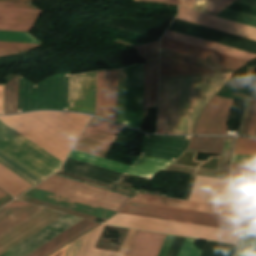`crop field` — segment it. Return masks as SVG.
Masks as SVG:
<instances>
[{"instance_id":"crop-field-1","label":"crop field","mask_w":256,"mask_h":256,"mask_svg":"<svg viewBox=\"0 0 256 256\" xmlns=\"http://www.w3.org/2000/svg\"><path fill=\"white\" fill-rule=\"evenodd\" d=\"M231 74L160 80L157 134H191L195 120Z\"/></svg>"},{"instance_id":"crop-field-2","label":"crop field","mask_w":256,"mask_h":256,"mask_svg":"<svg viewBox=\"0 0 256 256\" xmlns=\"http://www.w3.org/2000/svg\"><path fill=\"white\" fill-rule=\"evenodd\" d=\"M89 116L67 112H32L0 120L63 162Z\"/></svg>"},{"instance_id":"crop-field-3","label":"crop field","mask_w":256,"mask_h":256,"mask_svg":"<svg viewBox=\"0 0 256 256\" xmlns=\"http://www.w3.org/2000/svg\"><path fill=\"white\" fill-rule=\"evenodd\" d=\"M103 229L99 225L71 242L65 256H124L136 230H129L119 253H115L94 249ZM165 236L138 230L126 256H156Z\"/></svg>"},{"instance_id":"crop-field-4","label":"crop field","mask_w":256,"mask_h":256,"mask_svg":"<svg viewBox=\"0 0 256 256\" xmlns=\"http://www.w3.org/2000/svg\"><path fill=\"white\" fill-rule=\"evenodd\" d=\"M0 151L43 180L57 171L62 163L2 121Z\"/></svg>"},{"instance_id":"crop-field-5","label":"crop field","mask_w":256,"mask_h":256,"mask_svg":"<svg viewBox=\"0 0 256 256\" xmlns=\"http://www.w3.org/2000/svg\"><path fill=\"white\" fill-rule=\"evenodd\" d=\"M107 224L236 244L240 232L117 213Z\"/></svg>"},{"instance_id":"crop-field-6","label":"crop field","mask_w":256,"mask_h":256,"mask_svg":"<svg viewBox=\"0 0 256 256\" xmlns=\"http://www.w3.org/2000/svg\"><path fill=\"white\" fill-rule=\"evenodd\" d=\"M68 75L57 74L36 85L20 76L18 112L66 110Z\"/></svg>"},{"instance_id":"crop-field-7","label":"crop field","mask_w":256,"mask_h":256,"mask_svg":"<svg viewBox=\"0 0 256 256\" xmlns=\"http://www.w3.org/2000/svg\"><path fill=\"white\" fill-rule=\"evenodd\" d=\"M121 213L193 223L225 229L244 230L243 219L128 202Z\"/></svg>"},{"instance_id":"crop-field-8","label":"crop field","mask_w":256,"mask_h":256,"mask_svg":"<svg viewBox=\"0 0 256 256\" xmlns=\"http://www.w3.org/2000/svg\"><path fill=\"white\" fill-rule=\"evenodd\" d=\"M35 188L116 211L120 210L125 202L130 198L55 175Z\"/></svg>"},{"instance_id":"crop-field-9","label":"crop field","mask_w":256,"mask_h":256,"mask_svg":"<svg viewBox=\"0 0 256 256\" xmlns=\"http://www.w3.org/2000/svg\"><path fill=\"white\" fill-rule=\"evenodd\" d=\"M69 158L113 170L119 173L151 180L172 161L139 155L131 167L72 150Z\"/></svg>"},{"instance_id":"crop-field-10","label":"crop field","mask_w":256,"mask_h":256,"mask_svg":"<svg viewBox=\"0 0 256 256\" xmlns=\"http://www.w3.org/2000/svg\"><path fill=\"white\" fill-rule=\"evenodd\" d=\"M188 200L241 208L230 182L226 180L196 176Z\"/></svg>"},{"instance_id":"crop-field-11","label":"crop field","mask_w":256,"mask_h":256,"mask_svg":"<svg viewBox=\"0 0 256 256\" xmlns=\"http://www.w3.org/2000/svg\"><path fill=\"white\" fill-rule=\"evenodd\" d=\"M144 63L127 67L125 125L141 131Z\"/></svg>"},{"instance_id":"crop-field-12","label":"crop field","mask_w":256,"mask_h":256,"mask_svg":"<svg viewBox=\"0 0 256 256\" xmlns=\"http://www.w3.org/2000/svg\"><path fill=\"white\" fill-rule=\"evenodd\" d=\"M96 71L69 75L67 110L94 115Z\"/></svg>"},{"instance_id":"crop-field-13","label":"crop field","mask_w":256,"mask_h":256,"mask_svg":"<svg viewBox=\"0 0 256 256\" xmlns=\"http://www.w3.org/2000/svg\"><path fill=\"white\" fill-rule=\"evenodd\" d=\"M118 69L97 71L95 115L116 122Z\"/></svg>"},{"instance_id":"crop-field-14","label":"crop field","mask_w":256,"mask_h":256,"mask_svg":"<svg viewBox=\"0 0 256 256\" xmlns=\"http://www.w3.org/2000/svg\"><path fill=\"white\" fill-rule=\"evenodd\" d=\"M177 19L256 41V28L179 7Z\"/></svg>"},{"instance_id":"crop-field-15","label":"crop field","mask_w":256,"mask_h":256,"mask_svg":"<svg viewBox=\"0 0 256 256\" xmlns=\"http://www.w3.org/2000/svg\"><path fill=\"white\" fill-rule=\"evenodd\" d=\"M130 201L243 218L242 211L238 208L204 204L186 200L137 194Z\"/></svg>"},{"instance_id":"crop-field-16","label":"crop field","mask_w":256,"mask_h":256,"mask_svg":"<svg viewBox=\"0 0 256 256\" xmlns=\"http://www.w3.org/2000/svg\"><path fill=\"white\" fill-rule=\"evenodd\" d=\"M233 102L232 99L214 97L201 114L193 133L226 134L225 115Z\"/></svg>"},{"instance_id":"crop-field-17","label":"crop field","mask_w":256,"mask_h":256,"mask_svg":"<svg viewBox=\"0 0 256 256\" xmlns=\"http://www.w3.org/2000/svg\"><path fill=\"white\" fill-rule=\"evenodd\" d=\"M188 138L145 135L141 154L175 161L186 148Z\"/></svg>"},{"instance_id":"crop-field-18","label":"crop field","mask_w":256,"mask_h":256,"mask_svg":"<svg viewBox=\"0 0 256 256\" xmlns=\"http://www.w3.org/2000/svg\"><path fill=\"white\" fill-rule=\"evenodd\" d=\"M174 16L175 15L153 16L152 21L111 18L107 26L159 38Z\"/></svg>"},{"instance_id":"crop-field-19","label":"crop field","mask_w":256,"mask_h":256,"mask_svg":"<svg viewBox=\"0 0 256 256\" xmlns=\"http://www.w3.org/2000/svg\"><path fill=\"white\" fill-rule=\"evenodd\" d=\"M79 220L80 218L66 215L2 256H25Z\"/></svg>"},{"instance_id":"crop-field-20","label":"crop field","mask_w":256,"mask_h":256,"mask_svg":"<svg viewBox=\"0 0 256 256\" xmlns=\"http://www.w3.org/2000/svg\"><path fill=\"white\" fill-rule=\"evenodd\" d=\"M23 195H27V196H30V197H33V198L44 200V201H47V202H50V203L61 205V206L67 207V208L78 210V211L88 213V214H91V215H95V216L105 218V219L109 218L114 213H116V211H112V210H109V209H105V208H102V207H98V206H95V205H91V204H88V203H84V202H81V201H77V200H74V199H70V198H67V197H63V196H60V195H56V194L49 193V192H46V191H42V190L35 189V188L27 191Z\"/></svg>"},{"instance_id":"crop-field-21","label":"crop field","mask_w":256,"mask_h":256,"mask_svg":"<svg viewBox=\"0 0 256 256\" xmlns=\"http://www.w3.org/2000/svg\"><path fill=\"white\" fill-rule=\"evenodd\" d=\"M96 225L97 223L82 219L26 256H48Z\"/></svg>"},{"instance_id":"crop-field-22","label":"crop field","mask_w":256,"mask_h":256,"mask_svg":"<svg viewBox=\"0 0 256 256\" xmlns=\"http://www.w3.org/2000/svg\"><path fill=\"white\" fill-rule=\"evenodd\" d=\"M161 47L203 60L206 59L208 54H211V62H215L236 69H238L241 65H243L246 62L164 38L161 39Z\"/></svg>"},{"instance_id":"crop-field-23","label":"crop field","mask_w":256,"mask_h":256,"mask_svg":"<svg viewBox=\"0 0 256 256\" xmlns=\"http://www.w3.org/2000/svg\"><path fill=\"white\" fill-rule=\"evenodd\" d=\"M41 12L0 8V30L28 32Z\"/></svg>"},{"instance_id":"crop-field-24","label":"crop field","mask_w":256,"mask_h":256,"mask_svg":"<svg viewBox=\"0 0 256 256\" xmlns=\"http://www.w3.org/2000/svg\"><path fill=\"white\" fill-rule=\"evenodd\" d=\"M164 38H168V39L175 40L178 42L186 43L189 45H193L196 47H200L203 49H207L210 51H214L217 53L232 56V57L239 58V59L246 60V61L256 57V55L252 54V53L244 52L241 50H237L234 48L219 45L216 43L201 40L198 38H194L191 36H187V35L176 33V32L169 31V30H167L166 34L164 35Z\"/></svg>"},{"instance_id":"crop-field-25","label":"crop field","mask_w":256,"mask_h":256,"mask_svg":"<svg viewBox=\"0 0 256 256\" xmlns=\"http://www.w3.org/2000/svg\"><path fill=\"white\" fill-rule=\"evenodd\" d=\"M158 60L145 63L143 108H156Z\"/></svg>"},{"instance_id":"crop-field-26","label":"crop field","mask_w":256,"mask_h":256,"mask_svg":"<svg viewBox=\"0 0 256 256\" xmlns=\"http://www.w3.org/2000/svg\"><path fill=\"white\" fill-rule=\"evenodd\" d=\"M112 141L82 133L74 150L104 158Z\"/></svg>"},{"instance_id":"crop-field-27","label":"crop field","mask_w":256,"mask_h":256,"mask_svg":"<svg viewBox=\"0 0 256 256\" xmlns=\"http://www.w3.org/2000/svg\"><path fill=\"white\" fill-rule=\"evenodd\" d=\"M202 72L214 71L161 56L160 76Z\"/></svg>"},{"instance_id":"crop-field-28","label":"crop field","mask_w":256,"mask_h":256,"mask_svg":"<svg viewBox=\"0 0 256 256\" xmlns=\"http://www.w3.org/2000/svg\"><path fill=\"white\" fill-rule=\"evenodd\" d=\"M30 186V184L0 165V188L5 192L14 197Z\"/></svg>"},{"instance_id":"crop-field-29","label":"crop field","mask_w":256,"mask_h":256,"mask_svg":"<svg viewBox=\"0 0 256 256\" xmlns=\"http://www.w3.org/2000/svg\"><path fill=\"white\" fill-rule=\"evenodd\" d=\"M234 154H256V138H236ZM232 162L256 163V155H234Z\"/></svg>"},{"instance_id":"crop-field-30","label":"crop field","mask_w":256,"mask_h":256,"mask_svg":"<svg viewBox=\"0 0 256 256\" xmlns=\"http://www.w3.org/2000/svg\"><path fill=\"white\" fill-rule=\"evenodd\" d=\"M222 137H192L186 151L220 154Z\"/></svg>"},{"instance_id":"crop-field-31","label":"crop field","mask_w":256,"mask_h":256,"mask_svg":"<svg viewBox=\"0 0 256 256\" xmlns=\"http://www.w3.org/2000/svg\"><path fill=\"white\" fill-rule=\"evenodd\" d=\"M41 209L42 207H38L30 204L21 208L20 210H18L17 212H15L11 216L7 217L6 219L0 222V235L5 233L6 231H8L12 227L19 224L20 222H22L23 220L30 217L31 215H33L34 213H36Z\"/></svg>"},{"instance_id":"crop-field-32","label":"crop field","mask_w":256,"mask_h":256,"mask_svg":"<svg viewBox=\"0 0 256 256\" xmlns=\"http://www.w3.org/2000/svg\"><path fill=\"white\" fill-rule=\"evenodd\" d=\"M0 163L13 171L15 174L32 184L33 186L38 184L39 182L43 181L34 174H32L30 171L7 157L5 154L0 152Z\"/></svg>"},{"instance_id":"crop-field-33","label":"crop field","mask_w":256,"mask_h":256,"mask_svg":"<svg viewBox=\"0 0 256 256\" xmlns=\"http://www.w3.org/2000/svg\"><path fill=\"white\" fill-rule=\"evenodd\" d=\"M232 177L234 182L256 183V165L233 164Z\"/></svg>"},{"instance_id":"crop-field-34","label":"crop field","mask_w":256,"mask_h":256,"mask_svg":"<svg viewBox=\"0 0 256 256\" xmlns=\"http://www.w3.org/2000/svg\"><path fill=\"white\" fill-rule=\"evenodd\" d=\"M19 76L6 84L4 114L17 112Z\"/></svg>"},{"instance_id":"crop-field-35","label":"crop field","mask_w":256,"mask_h":256,"mask_svg":"<svg viewBox=\"0 0 256 256\" xmlns=\"http://www.w3.org/2000/svg\"><path fill=\"white\" fill-rule=\"evenodd\" d=\"M236 245L208 241L201 256H232Z\"/></svg>"},{"instance_id":"crop-field-36","label":"crop field","mask_w":256,"mask_h":256,"mask_svg":"<svg viewBox=\"0 0 256 256\" xmlns=\"http://www.w3.org/2000/svg\"><path fill=\"white\" fill-rule=\"evenodd\" d=\"M126 67L119 69L117 122L124 125Z\"/></svg>"},{"instance_id":"crop-field-37","label":"crop field","mask_w":256,"mask_h":256,"mask_svg":"<svg viewBox=\"0 0 256 256\" xmlns=\"http://www.w3.org/2000/svg\"><path fill=\"white\" fill-rule=\"evenodd\" d=\"M231 2H233V0H208L207 4V0H196L194 9L215 15V13L219 12L221 9L229 5ZM205 8L207 11L215 13L207 12L205 11Z\"/></svg>"},{"instance_id":"crop-field-38","label":"crop field","mask_w":256,"mask_h":256,"mask_svg":"<svg viewBox=\"0 0 256 256\" xmlns=\"http://www.w3.org/2000/svg\"><path fill=\"white\" fill-rule=\"evenodd\" d=\"M235 3H239V4H243V5H247V6H251V7L256 8V0H237V1H235ZM216 16L224 18V19H228V20H231V21L239 22V23H242V24H246V25H249V26L256 27V20H252V19H249V18H245V17H242V16L231 14V13H228V12L222 11Z\"/></svg>"},{"instance_id":"crop-field-39","label":"crop field","mask_w":256,"mask_h":256,"mask_svg":"<svg viewBox=\"0 0 256 256\" xmlns=\"http://www.w3.org/2000/svg\"><path fill=\"white\" fill-rule=\"evenodd\" d=\"M0 41L42 44L28 33L0 31Z\"/></svg>"},{"instance_id":"crop-field-40","label":"crop field","mask_w":256,"mask_h":256,"mask_svg":"<svg viewBox=\"0 0 256 256\" xmlns=\"http://www.w3.org/2000/svg\"><path fill=\"white\" fill-rule=\"evenodd\" d=\"M233 137H223L222 150L218 171L228 173V165L231 153Z\"/></svg>"},{"instance_id":"crop-field-41","label":"crop field","mask_w":256,"mask_h":256,"mask_svg":"<svg viewBox=\"0 0 256 256\" xmlns=\"http://www.w3.org/2000/svg\"><path fill=\"white\" fill-rule=\"evenodd\" d=\"M39 45L0 42V56L29 51Z\"/></svg>"},{"instance_id":"crop-field-42","label":"crop field","mask_w":256,"mask_h":256,"mask_svg":"<svg viewBox=\"0 0 256 256\" xmlns=\"http://www.w3.org/2000/svg\"><path fill=\"white\" fill-rule=\"evenodd\" d=\"M158 47H159V40L135 47L133 49L138 52L136 55L148 61V60L158 58Z\"/></svg>"},{"instance_id":"crop-field-43","label":"crop field","mask_w":256,"mask_h":256,"mask_svg":"<svg viewBox=\"0 0 256 256\" xmlns=\"http://www.w3.org/2000/svg\"><path fill=\"white\" fill-rule=\"evenodd\" d=\"M236 256H256V237H244Z\"/></svg>"},{"instance_id":"crop-field-44","label":"crop field","mask_w":256,"mask_h":256,"mask_svg":"<svg viewBox=\"0 0 256 256\" xmlns=\"http://www.w3.org/2000/svg\"><path fill=\"white\" fill-rule=\"evenodd\" d=\"M88 127L100 129V130L115 133V134H117L122 129V126H119L110 122H106L94 117L88 124Z\"/></svg>"},{"instance_id":"crop-field-45","label":"crop field","mask_w":256,"mask_h":256,"mask_svg":"<svg viewBox=\"0 0 256 256\" xmlns=\"http://www.w3.org/2000/svg\"><path fill=\"white\" fill-rule=\"evenodd\" d=\"M19 199H23V200H26V201H29V202H32V203H35V204H38V205L46 206V207L57 209V210H60V211L68 212V213L80 216L82 218H85V219H88V220H91V221H93V219H94V216L83 214V213H80V212H77V211H73V210H70V209L59 207V206L49 204V203H46V202H42V201H39V200H35V199L29 198V197L22 196Z\"/></svg>"},{"instance_id":"crop-field-46","label":"crop field","mask_w":256,"mask_h":256,"mask_svg":"<svg viewBox=\"0 0 256 256\" xmlns=\"http://www.w3.org/2000/svg\"><path fill=\"white\" fill-rule=\"evenodd\" d=\"M245 215H256V195L254 194H239Z\"/></svg>"},{"instance_id":"crop-field-47","label":"crop field","mask_w":256,"mask_h":256,"mask_svg":"<svg viewBox=\"0 0 256 256\" xmlns=\"http://www.w3.org/2000/svg\"><path fill=\"white\" fill-rule=\"evenodd\" d=\"M196 239L186 238L178 256H200L202 251L194 246Z\"/></svg>"},{"instance_id":"crop-field-48","label":"crop field","mask_w":256,"mask_h":256,"mask_svg":"<svg viewBox=\"0 0 256 256\" xmlns=\"http://www.w3.org/2000/svg\"><path fill=\"white\" fill-rule=\"evenodd\" d=\"M26 204L27 203L18 200H14L11 203L7 204L6 206L0 209V221L14 213L21 207L25 206Z\"/></svg>"},{"instance_id":"crop-field-49","label":"crop field","mask_w":256,"mask_h":256,"mask_svg":"<svg viewBox=\"0 0 256 256\" xmlns=\"http://www.w3.org/2000/svg\"><path fill=\"white\" fill-rule=\"evenodd\" d=\"M238 193H256V184L233 183Z\"/></svg>"},{"instance_id":"crop-field-50","label":"crop field","mask_w":256,"mask_h":256,"mask_svg":"<svg viewBox=\"0 0 256 256\" xmlns=\"http://www.w3.org/2000/svg\"><path fill=\"white\" fill-rule=\"evenodd\" d=\"M195 175L228 180V174L219 173V172H212V171H206V170H200V169L196 170V174Z\"/></svg>"},{"instance_id":"crop-field-51","label":"crop field","mask_w":256,"mask_h":256,"mask_svg":"<svg viewBox=\"0 0 256 256\" xmlns=\"http://www.w3.org/2000/svg\"><path fill=\"white\" fill-rule=\"evenodd\" d=\"M84 133H88V134L95 135V136L112 140V141H114V139L116 138V135H112V134L105 133V132L88 128V127H86V129L84 130Z\"/></svg>"},{"instance_id":"crop-field-52","label":"crop field","mask_w":256,"mask_h":256,"mask_svg":"<svg viewBox=\"0 0 256 256\" xmlns=\"http://www.w3.org/2000/svg\"><path fill=\"white\" fill-rule=\"evenodd\" d=\"M174 238L175 237H171V236L166 237L158 256H167V253L171 247V244H172Z\"/></svg>"},{"instance_id":"crop-field-53","label":"crop field","mask_w":256,"mask_h":256,"mask_svg":"<svg viewBox=\"0 0 256 256\" xmlns=\"http://www.w3.org/2000/svg\"><path fill=\"white\" fill-rule=\"evenodd\" d=\"M0 7L2 8H18V9H34L38 10L28 4H20V3H4L0 2Z\"/></svg>"},{"instance_id":"crop-field-54","label":"crop field","mask_w":256,"mask_h":256,"mask_svg":"<svg viewBox=\"0 0 256 256\" xmlns=\"http://www.w3.org/2000/svg\"><path fill=\"white\" fill-rule=\"evenodd\" d=\"M195 0H167L166 4L180 5L188 8L194 7Z\"/></svg>"},{"instance_id":"crop-field-55","label":"crop field","mask_w":256,"mask_h":256,"mask_svg":"<svg viewBox=\"0 0 256 256\" xmlns=\"http://www.w3.org/2000/svg\"><path fill=\"white\" fill-rule=\"evenodd\" d=\"M255 133H256V101H255V105H254V109H253V113H252V117H251V121H250V125H249L247 134H255Z\"/></svg>"},{"instance_id":"crop-field-56","label":"crop field","mask_w":256,"mask_h":256,"mask_svg":"<svg viewBox=\"0 0 256 256\" xmlns=\"http://www.w3.org/2000/svg\"><path fill=\"white\" fill-rule=\"evenodd\" d=\"M245 236H256V226H247Z\"/></svg>"},{"instance_id":"crop-field-57","label":"crop field","mask_w":256,"mask_h":256,"mask_svg":"<svg viewBox=\"0 0 256 256\" xmlns=\"http://www.w3.org/2000/svg\"><path fill=\"white\" fill-rule=\"evenodd\" d=\"M4 85H0V114H2Z\"/></svg>"},{"instance_id":"crop-field-58","label":"crop field","mask_w":256,"mask_h":256,"mask_svg":"<svg viewBox=\"0 0 256 256\" xmlns=\"http://www.w3.org/2000/svg\"><path fill=\"white\" fill-rule=\"evenodd\" d=\"M68 246H69V244L67 246L63 247L62 249H60L59 251L55 252L51 256H64Z\"/></svg>"},{"instance_id":"crop-field-59","label":"crop field","mask_w":256,"mask_h":256,"mask_svg":"<svg viewBox=\"0 0 256 256\" xmlns=\"http://www.w3.org/2000/svg\"><path fill=\"white\" fill-rule=\"evenodd\" d=\"M0 1H4V2H20V3H28L32 0H0Z\"/></svg>"},{"instance_id":"crop-field-60","label":"crop field","mask_w":256,"mask_h":256,"mask_svg":"<svg viewBox=\"0 0 256 256\" xmlns=\"http://www.w3.org/2000/svg\"><path fill=\"white\" fill-rule=\"evenodd\" d=\"M9 197H10V196L7 195V196H5L4 198L0 199V203L3 202V201H5V200L8 199Z\"/></svg>"},{"instance_id":"crop-field-61","label":"crop field","mask_w":256,"mask_h":256,"mask_svg":"<svg viewBox=\"0 0 256 256\" xmlns=\"http://www.w3.org/2000/svg\"><path fill=\"white\" fill-rule=\"evenodd\" d=\"M5 195L7 194H5L3 191L0 190V198L4 197Z\"/></svg>"},{"instance_id":"crop-field-62","label":"crop field","mask_w":256,"mask_h":256,"mask_svg":"<svg viewBox=\"0 0 256 256\" xmlns=\"http://www.w3.org/2000/svg\"><path fill=\"white\" fill-rule=\"evenodd\" d=\"M147 1H159V2H165V0H147Z\"/></svg>"}]
</instances>
